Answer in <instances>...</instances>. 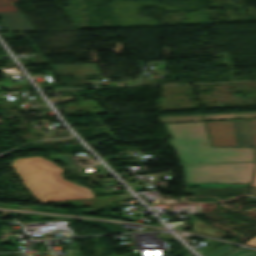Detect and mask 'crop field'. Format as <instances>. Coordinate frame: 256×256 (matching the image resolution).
<instances>
[{
  "instance_id": "obj_1",
  "label": "crop field",
  "mask_w": 256,
  "mask_h": 256,
  "mask_svg": "<svg viewBox=\"0 0 256 256\" xmlns=\"http://www.w3.org/2000/svg\"><path fill=\"white\" fill-rule=\"evenodd\" d=\"M48 158L61 160L67 167L76 165L69 154L52 155ZM10 164L38 202L52 203L94 197L89 188L65 180L60 174L63 170L42 157L17 158Z\"/></svg>"
},
{
  "instance_id": "obj_2",
  "label": "crop field",
  "mask_w": 256,
  "mask_h": 256,
  "mask_svg": "<svg viewBox=\"0 0 256 256\" xmlns=\"http://www.w3.org/2000/svg\"><path fill=\"white\" fill-rule=\"evenodd\" d=\"M164 125L182 163L254 161L251 148H210L202 122Z\"/></svg>"
},
{
  "instance_id": "obj_3",
  "label": "crop field",
  "mask_w": 256,
  "mask_h": 256,
  "mask_svg": "<svg viewBox=\"0 0 256 256\" xmlns=\"http://www.w3.org/2000/svg\"><path fill=\"white\" fill-rule=\"evenodd\" d=\"M185 182L248 183L254 163L182 165Z\"/></svg>"
},
{
  "instance_id": "obj_4",
  "label": "crop field",
  "mask_w": 256,
  "mask_h": 256,
  "mask_svg": "<svg viewBox=\"0 0 256 256\" xmlns=\"http://www.w3.org/2000/svg\"><path fill=\"white\" fill-rule=\"evenodd\" d=\"M212 146H250L256 151V120L205 122Z\"/></svg>"
},
{
  "instance_id": "obj_5",
  "label": "crop field",
  "mask_w": 256,
  "mask_h": 256,
  "mask_svg": "<svg viewBox=\"0 0 256 256\" xmlns=\"http://www.w3.org/2000/svg\"><path fill=\"white\" fill-rule=\"evenodd\" d=\"M0 19L10 32L36 31L20 12L0 13Z\"/></svg>"
},
{
  "instance_id": "obj_6",
  "label": "crop field",
  "mask_w": 256,
  "mask_h": 256,
  "mask_svg": "<svg viewBox=\"0 0 256 256\" xmlns=\"http://www.w3.org/2000/svg\"><path fill=\"white\" fill-rule=\"evenodd\" d=\"M61 74L99 73L96 64L54 65Z\"/></svg>"
},
{
  "instance_id": "obj_7",
  "label": "crop field",
  "mask_w": 256,
  "mask_h": 256,
  "mask_svg": "<svg viewBox=\"0 0 256 256\" xmlns=\"http://www.w3.org/2000/svg\"><path fill=\"white\" fill-rule=\"evenodd\" d=\"M205 120L210 119H222V118H244V117H256V112L252 113H229V114H211L203 115Z\"/></svg>"
},
{
  "instance_id": "obj_8",
  "label": "crop field",
  "mask_w": 256,
  "mask_h": 256,
  "mask_svg": "<svg viewBox=\"0 0 256 256\" xmlns=\"http://www.w3.org/2000/svg\"><path fill=\"white\" fill-rule=\"evenodd\" d=\"M161 122H181V121H195L202 120L200 115H190V116H168V117H158Z\"/></svg>"
},
{
  "instance_id": "obj_9",
  "label": "crop field",
  "mask_w": 256,
  "mask_h": 256,
  "mask_svg": "<svg viewBox=\"0 0 256 256\" xmlns=\"http://www.w3.org/2000/svg\"><path fill=\"white\" fill-rule=\"evenodd\" d=\"M185 185H195L203 187H239L248 186V184H217V183H185Z\"/></svg>"
},
{
  "instance_id": "obj_10",
  "label": "crop field",
  "mask_w": 256,
  "mask_h": 256,
  "mask_svg": "<svg viewBox=\"0 0 256 256\" xmlns=\"http://www.w3.org/2000/svg\"><path fill=\"white\" fill-rule=\"evenodd\" d=\"M224 256H256L255 251H250L242 248H238Z\"/></svg>"
},
{
  "instance_id": "obj_11",
  "label": "crop field",
  "mask_w": 256,
  "mask_h": 256,
  "mask_svg": "<svg viewBox=\"0 0 256 256\" xmlns=\"http://www.w3.org/2000/svg\"><path fill=\"white\" fill-rule=\"evenodd\" d=\"M232 249H234L233 246L231 244H229V245H227V246H225V247H223V248H221V249H219V250H217V251H215V252H213V253H211L207 256H220V255H222V254H224V253H226V252H228Z\"/></svg>"
},
{
  "instance_id": "obj_12",
  "label": "crop field",
  "mask_w": 256,
  "mask_h": 256,
  "mask_svg": "<svg viewBox=\"0 0 256 256\" xmlns=\"http://www.w3.org/2000/svg\"><path fill=\"white\" fill-rule=\"evenodd\" d=\"M5 11H18L13 4L0 6V12Z\"/></svg>"
},
{
  "instance_id": "obj_13",
  "label": "crop field",
  "mask_w": 256,
  "mask_h": 256,
  "mask_svg": "<svg viewBox=\"0 0 256 256\" xmlns=\"http://www.w3.org/2000/svg\"><path fill=\"white\" fill-rule=\"evenodd\" d=\"M95 170L102 176H110V174L100 164L96 165Z\"/></svg>"
},
{
  "instance_id": "obj_14",
  "label": "crop field",
  "mask_w": 256,
  "mask_h": 256,
  "mask_svg": "<svg viewBox=\"0 0 256 256\" xmlns=\"http://www.w3.org/2000/svg\"><path fill=\"white\" fill-rule=\"evenodd\" d=\"M245 244H249L256 247V236L247 241Z\"/></svg>"
},
{
  "instance_id": "obj_15",
  "label": "crop field",
  "mask_w": 256,
  "mask_h": 256,
  "mask_svg": "<svg viewBox=\"0 0 256 256\" xmlns=\"http://www.w3.org/2000/svg\"><path fill=\"white\" fill-rule=\"evenodd\" d=\"M249 194L256 195V187H251Z\"/></svg>"
},
{
  "instance_id": "obj_16",
  "label": "crop field",
  "mask_w": 256,
  "mask_h": 256,
  "mask_svg": "<svg viewBox=\"0 0 256 256\" xmlns=\"http://www.w3.org/2000/svg\"><path fill=\"white\" fill-rule=\"evenodd\" d=\"M72 173H73V174H76V173H78L77 177H83V176H85L83 173H81V172H78L77 170H75V171H72Z\"/></svg>"
},
{
  "instance_id": "obj_17",
  "label": "crop field",
  "mask_w": 256,
  "mask_h": 256,
  "mask_svg": "<svg viewBox=\"0 0 256 256\" xmlns=\"http://www.w3.org/2000/svg\"><path fill=\"white\" fill-rule=\"evenodd\" d=\"M251 186H256V173H255V176H254V179H253V182H252Z\"/></svg>"
},
{
  "instance_id": "obj_18",
  "label": "crop field",
  "mask_w": 256,
  "mask_h": 256,
  "mask_svg": "<svg viewBox=\"0 0 256 256\" xmlns=\"http://www.w3.org/2000/svg\"><path fill=\"white\" fill-rule=\"evenodd\" d=\"M11 2L10 0H0V4H3V3H9Z\"/></svg>"
},
{
  "instance_id": "obj_19",
  "label": "crop field",
  "mask_w": 256,
  "mask_h": 256,
  "mask_svg": "<svg viewBox=\"0 0 256 256\" xmlns=\"http://www.w3.org/2000/svg\"><path fill=\"white\" fill-rule=\"evenodd\" d=\"M109 256H125V255H109Z\"/></svg>"
},
{
  "instance_id": "obj_20",
  "label": "crop field",
  "mask_w": 256,
  "mask_h": 256,
  "mask_svg": "<svg viewBox=\"0 0 256 256\" xmlns=\"http://www.w3.org/2000/svg\"><path fill=\"white\" fill-rule=\"evenodd\" d=\"M13 2H16V1H18V0H12Z\"/></svg>"
},
{
  "instance_id": "obj_21",
  "label": "crop field",
  "mask_w": 256,
  "mask_h": 256,
  "mask_svg": "<svg viewBox=\"0 0 256 256\" xmlns=\"http://www.w3.org/2000/svg\"><path fill=\"white\" fill-rule=\"evenodd\" d=\"M252 202H256V199H255V201H252Z\"/></svg>"
}]
</instances>
